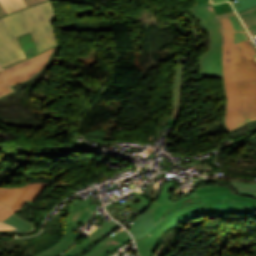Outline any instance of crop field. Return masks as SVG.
I'll return each mask as SVG.
<instances>
[{
  "label": "crop field",
  "mask_w": 256,
  "mask_h": 256,
  "mask_svg": "<svg viewBox=\"0 0 256 256\" xmlns=\"http://www.w3.org/2000/svg\"><path fill=\"white\" fill-rule=\"evenodd\" d=\"M213 6L224 33L222 81L226 106L223 123L229 132L256 122V51L230 3Z\"/></svg>",
  "instance_id": "crop-field-1"
},
{
  "label": "crop field",
  "mask_w": 256,
  "mask_h": 256,
  "mask_svg": "<svg viewBox=\"0 0 256 256\" xmlns=\"http://www.w3.org/2000/svg\"><path fill=\"white\" fill-rule=\"evenodd\" d=\"M175 184L176 181L165 184L161 198L147 209L155 222L162 216L166 219L146 237L136 241L141 256H151L161 245L157 240L163 232L185 220L204 215H245L256 211L255 199L237 196L225 184L201 186L189 196L173 201L168 192Z\"/></svg>",
  "instance_id": "crop-field-2"
},
{
  "label": "crop field",
  "mask_w": 256,
  "mask_h": 256,
  "mask_svg": "<svg viewBox=\"0 0 256 256\" xmlns=\"http://www.w3.org/2000/svg\"><path fill=\"white\" fill-rule=\"evenodd\" d=\"M58 20L52 1H45L0 18L2 69L26 59L15 37L31 32L39 52L59 44L53 21Z\"/></svg>",
  "instance_id": "crop-field-3"
},
{
  "label": "crop field",
  "mask_w": 256,
  "mask_h": 256,
  "mask_svg": "<svg viewBox=\"0 0 256 256\" xmlns=\"http://www.w3.org/2000/svg\"><path fill=\"white\" fill-rule=\"evenodd\" d=\"M210 3V0H196L195 5L189 11L192 16L200 19L211 39L209 50L201 56L203 78L223 77V34L213 6L208 5Z\"/></svg>",
  "instance_id": "crop-field-4"
},
{
  "label": "crop field",
  "mask_w": 256,
  "mask_h": 256,
  "mask_svg": "<svg viewBox=\"0 0 256 256\" xmlns=\"http://www.w3.org/2000/svg\"><path fill=\"white\" fill-rule=\"evenodd\" d=\"M57 47L0 71V98L15 93L12 86L36 77L47 66Z\"/></svg>",
  "instance_id": "crop-field-5"
},
{
  "label": "crop field",
  "mask_w": 256,
  "mask_h": 256,
  "mask_svg": "<svg viewBox=\"0 0 256 256\" xmlns=\"http://www.w3.org/2000/svg\"><path fill=\"white\" fill-rule=\"evenodd\" d=\"M46 185V183H36L26 184L20 188H0V201L16 211L27 199L34 201Z\"/></svg>",
  "instance_id": "crop-field-6"
},
{
  "label": "crop field",
  "mask_w": 256,
  "mask_h": 256,
  "mask_svg": "<svg viewBox=\"0 0 256 256\" xmlns=\"http://www.w3.org/2000/svg\"><path fill=\"white\" fill-rule=\"evenodd\" d=\"M87 200L82 203L79 199L73 201L64 220L62 235H67L78 222L86 223L93 214L96 204L91 205Z\"/></svg>",
  "instance_id": "crop-field-7"
},
{
  "label": "crop field",
  "mask_w": 256,
  "mask_h": 256,
  "mask_svg": "<svg viewBox=\"0 0 256 256\" xmlns=\"http://www.w3.org/2000/svg\"><path fill=\"white\" fill-rule=\"evenodd\" d=\"M131 238L127 231L122 227L115 231L112 235L98 243L93 247L85 256H102L106 252L120 247L126 241H130Z\"/></svg>",
  "instance_id": "crop-field-8"
},
{
  "label": "crop field",
  "mask_w": 256,
  "mask_h": 256,
  "mask_svg": "<svg viewBox=\"0 0 256 256\" xmlns=\"http://www.w3.org/2000/svg\"><path fill=\"white\" fill-rule=\"evenodd\" d=\"M161 219H164L163 217ZM161 219L155 224L154 219L150 213L139 216L132 222L124 225L132 233L135 241L146 236L157 224L161 222Z\"/></svg>",
  "instance_id": "crop-field-9"
},
{
  "label": "crop field",
  "mask_w": 256,
  "mask_h": 256,
  "mask_svg": "<svg viewBox=\"0 0 256 256\" xmlns=\"http://www.w3.org/2000/svg\"><path fill=\"white\" fill-rule=\"evenodd\" d=\"M183 62L184 60L179 59L174 73L173 83H172V97H173V105L174 111L171 114V117H177L178 112L180 110L179 101H180V90H181V81L183 75Z\"/></svg>",
  "instance_id": "crop-field-10"
},
{
  "label": "crop field",
  "mask_w": 256,
  "mask_h": 256,
  "mask_svg": "<svg viewBox=\"0 0 256 256\" xmlns=\"http://www.w3.org/2000/svg\"><path fill=\"white\" fill-rule=\"evenodd\" d=\"M237 13L250 32L251 36L256 35V6L238 11Z\"/></svg>",
  "instance_id": "crop-field-11"
},
{
  "label": "crop field",
  "mask_w": 256,
  "mask_h": 256,
  "mask_svg": "<svg viewBox=\"0 0 256 256\" xmlns=\"http://www.w3.org/2000/svg\"><path fill=\"white\" fill-rule=\"evenodd\" d=\"M77 237L78 234L71 231L61 243H58L54 248L46 252L40 253L37 256H55L64 251L67 247H69L76 240Z\"/></svg>",
  "instance_id": "crop-field-12"
},
{
  "label": "crop field",
  "mask_w": 256,
  "mask_h": 256,
  "mask_svg": "<svg viewBox=\"0 0 256 256\" xmlns=\"http://www.w3.org/2000/svg\"><path fill=\"white\" fill-rule=\"evenodd\" d=\"M17 40H18L19 44L21 45L23 51L25 52L27 58H30L34 55L39 54L30 33L20 36V37H17Z\"/></svg>",
  "instance_id": "crop-field-13"
},
{
  "label": "crop field",
  "mask_w": 256,
  "mask_h": 256,
  "mask_svg": "<svg viewBox=\"0 0 256 256\" xmlns=\"http://www.w3.org/2000/svg\"><path fill=\"white\" fill-rule=\"evenodd\" d=\"M231 186L240 193L256 196V183H238L232 181Z\"/></svg>",
  "instance_id": "crop-field-14"
},
{
  "label": "crop field",
  "mask_w": 256,
  "mask_h": 256,
  "mask_svg": "<svg viewBox=\"0 0 256 256\" xmlns=\"http://www.w3.org/2000/svg\"><path fill=\"white\" fill-rule=\"evenodd\" d=\"M92 243L89 241L87 238L79 245H73L66 253H64L61 256H76V255H80L83 253V251H85Z\"/></svg>",
  "instance_id": "crop-field-15"
},
{
  "label": "crop field",
  "mask_w": 256,
  "mask_h": 256,
  "mask_svg": "<svg viewBox=\"0 0 256 256\" xmlns=\"http://www.w3.org/2000/svg\"><path fill=\"white\" fill-rule=\"evenodd\" d=\"M3 222L8 223L13 226H16L20 229V231H23V232H26V231L32 229L31 224H29L19 218L14 217V215H11L7 219H5Z\"/></svg>",
  "instance_id": "crop-field-16"
},
{
  "label": "crop field",
  "mask_w": 256,
  "mask_h": 256,
  "mask_svg": "<svg viewBox=\"0 0 256 256\" xmlns=\"http://www.w3.org/2000/svg\"><path fill=\"white\" fill-rule=\"evenodd\" d=\"M119 224L115 221H110L109 223L104 222L90 237L94 236L96 233H99L100 237L94 240V242L98 241L100 238L108 234L114 228H116ZM89 237V238H90Z\"/></svg>",
  "instance_id": "crop-field-17"
},
{
  "label": "crop field",
  "mask_w": 256,
  "mask_h": 256,
  "mask_svg": "<svg viewBox=\"0 0 256 256\" xmlns=\"http://www.w3.org/2000/svg\"><path fill=\"white\" fill-rule=\"evenodd\" d=\"M0 3L5 8L7 13L24 7L22 0H0Z\"/></svg>",
  "instance_id": "crop-field-18"
},
{
  "label": "crop field",
  "mask_w": 256,
  "mask_h": 256,
  "mask_svg": "<svg viewBox=\"0 0 256 256\" xmlns=\"http://www.w3.org/2000/svg\"><path fill=\"white\" fill-rule=\"evenodd\" d=\"M132 194H134L135 196H137L139 199H141L142 201L134 204L133 202H131L130 200L127 201L129 204H131L134 208H136L137 210H139L138 212L134 213L135 215H138L139 213H141V211L150 203L148 200H146L144 197H142L141 195H139L138 193H136L135 191L132 192ZM133 214V213H131ZM134 215V216H135Z\"/></svg>",
  "instance_id": "crop-field-19"
},
{
  "label": "crop field",
  "mask_w": 256,
  "mask_h": 256,
  "mask_svg": "<svg viewBox=\"0 0 256 256\" xmlns=\"http://www.w3.org/2000/svg\"><path fill=\"white\" fill-rule=\"evenodd\" d=\"M238 2V4L233 5L236 11L256 5V0H238Z\"/></svg>",
  "instance_id": "crop-field-20"
},
{
  "label": "crop field",
  "mask_w": 256,
  "mask_h": 256,
  "mask_svg": "<svg viewBox=\"0 0 256 256\" xmlns=\"http://www.w3.org/2000/svg\"><path fill=\"white\" fill-rule=\"evenodd\" d=\"M13 212L14 210L10 209L9 207L0 202V221L13 214Z\"/></svg>",
  "instance_id": "crop-field-21"
},
{
  "label": "crop field",
  "mask_w": 256,
  "mask_h": 256,
  "mask_svg": "<svg viewBox=\"0 0 256 256\" xmlns=\"http://www.w3.org/2000/svg\"><path fill=\"white\" fill-rule=\"evenodd\" d=\"M0 151L15 152V153L23 154L28 152L29 150L0 146Z\"/></svg>",
  "instance_id": "crop-field-22"
},
{
  "label": "crop field",
  "mask_w": 256,
  "mask_h": 256,
  "mask_svg": "<svg viewBox=\"0 0 256 256\" xmlns=\"http://www.w3.org/2000/svg\"><path fill=\"white\" fill-rule=\"evenodd\" d=\"M73 147H84V148H92L90 145H88L86 142H77L73 143Z\"/></svg>",
  "instance_id": "crop-field-23"
},
{
  "label": "crop field",
  "mask_w": 256,
  "mask_h": 256,
  "mask_svg": "<svg viewBox=\"0 0 256 256\" xmlns=\"http://www.w3.org/2000/svg\"><path fill=\"white\" fill-rule=\"evenodd\" d=\"M14 229L13 227L0 222V230Z\"/></svg>",
  "instance_id": "crop-field-24"
},
{
  "label": "crop field",
  "mask_w": 256,
  "mask_h": 256,
  "mask_svg": "<svg viewBox=\"0 0 256 256\" xmlns=\"http://www.w3.org/2000/svg\"><path fill=\"white\" fill-rule=\"evenodd\" d=\"M25 5H30V4H33V3H36V2H40V1H43V0H23Z\"/></svg>",
  "instance_id": "crop-field-25"
},
{
  "label": "crop field",
  "mask_w": 256,
  "mask_h": 256,
  "mask_svg": "<svg viewBox=\"0 0 256 256\" xmlns=\"http://www.w3.org/2000/svg\"><path fill=\"white\" fill-rule=\"evenodd\" d=\"M164 244L160 246V248L152 255V256H161L162 255V248Z\"/></svg>",
  "instance_id": "crop-field-26"
},
{
  "label": "crop field",
  "mask_w": 256,
  "mask_h": 256,
  "mask_svg": "<svg viewBox=\"0 0 256 256\" xmlns=\"http://www.w3.org/2000/svg\"><path fill=\"white\" fill-rule=\"evenodd\" d=\"M6 14V11L3 9V7L0 4V16Z\"/></svg>",
  "instance_id": "crop-field-27"
},
{
  "label": "crop field",
  "mask_w": 256,
  "mask_h": 256,
  "mask_svg": "<svg viewBox=\"0 0 256 256\" xmlns=\"http://www.w3.org/2000/svg\"><path fill=\"white\" fill-rule=\"evenodd\" d=\"M204 180H205V182H209V180H210V181H217V180H219V179H211V178H206V177H205Z\"/></svg>",
  "instance_id": "crop-field-28"
},
{
  "label": "crop field",
  "mask_w": 256,
  "mask_h": 256,
  "mask_svg": "<svg viewBox=\"0 0 256 256\" xmlns=\"http://www.w3.org/2000/svg\"><path fill=\"white\" fill-rule=\"evenodd\" d=\"M220 1H225V0H212L213 3L220 2Z\"/></svg>",
  "instance_id": "crop-field-29"
},
{
  "label": "crop field",
  "mask_w": 256,
  "mask_h": 256,
  "mask_svg": "<svg viewBox=\"0 0 256 256\" xmlns=\"http://www.w3.org/2000/svg\"><path fill=\"white\" fill-rule=\"evenodd\" d=\"M0 70H1V68H0Z\"/></svg>",
  "instance_id": "crop-field-30"
}]
</instances>
